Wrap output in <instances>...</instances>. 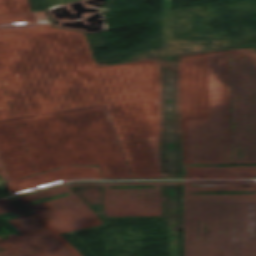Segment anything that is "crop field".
<instances>
[{"label": "crop field", "mask_w": 256, "mask_h": 256, "mask_svg": "<svg viewBox=\"0 0 256 256\" xmlns=\"http://www.w3.org/2000/svg\"><path fill=\"white\" fill-rule=\"evenodd\" d=\"M144 2H146V1H150V0H143Z\"/></svg>", "instance_id": "8a807250"}]
</instances>
